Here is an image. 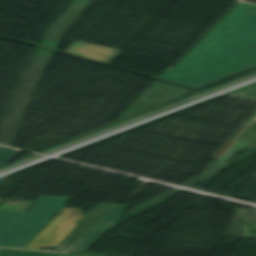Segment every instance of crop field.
I'll use <instances>...</instances> for the list:
<instances>
[{
    "label": "crop field",
    "mask_w": 256,
    "mask_h": 256,
    "mask_svg": "<svg viewBox=\"0 0 256 256\" xmlns=\"http://www.w3.org/2000/svg\"><path fill=\"white\" fill-rule=\"evenodd\" d=\"M255 10L254 14L247 12ZM256 66V6L240 2L160 78L197 87Z\"/></svg>",
    "instance_id": "1"
},
{
    "label": "crop field",
    "mask_w": 256,
    "mask_h": 256,
    "mask_svg": "<svg viewBox=\"0 0 256 256\" xmlns=\"http://www.w3.org/2000/svg\"><path fill=\"white\" fill-rule=\"evenodd\" d=\"M71 199L42 195L0 237V247L24 248Z\"/></svg>",
    "instance_id": "2"
},
{
    "label": "crop field",
    "mask_w": 256,
    "mask_h": 256,
    "mask_svg": "<svg viewBox=\"0 0 256 256\" xmlns=\"http://www.w3.org/2000/svg\"><path fill=\"white\" fill-rule=\"evenodd\" d=\"M129 206L97 204L96 207L61 242L57 251L86 253L95 241L126 211ZM98 211L97 213H92Z\"/></svg>",
    "instance_id": "3"
},
{
    "label": "crop field",
    "mask_w": 256,
    "mask_h": 256,
    "mask_svg": "<svg viewBox=\"0 0 256 256\" xmlns=\"http://www.w3.org/2000/svg\"><path fill=\"white\" fill-rule=\"evenodd\" d=\"M81 212L80 208L64 207L25 248L39 250L42 245L58 246L78 224L73 220L85 217Z\"/></svg>",
    "instance_id": "4"
},
{
    "label": "crop field",
    "mask_w": 256,
    "mask_h": 256,
    "mask_svg": "<svg viewBox=\"0 0 256 256\" xmlns=\"http://www.w3.org/2000/svg\"><path fill=\"white\" fill-rule=\"evenodd\" d=\"M256 148V113L234 136L226 147L209 163L200 174L204 176L221 175L226 164L232 159L231 155L244 150Z\"/></svg>",
    "instance_id": "5"
},
{
    "label": "crop field",
    "mask_w": 256,
    "mask_h": 256,
    "mask_svg": "<svg viewBox=\"0 0 256 256\" xmlns=\"http://www.w3.org/2000/svg\"><path fill=\"white\" fill-rule=\"evenodd\" d=\"M190 90L155 81L119 118V120L133 114L159 106L168 101L186 95Z\"/></svg>",
    "instance_id": "6"
},
{
    "label": "crop field",
    "mask_w": 256,
    "mask_h": 256,
    "mask_svg": "<svg viewBox=\"0 0 256 256\" xmlns=\"http://www.w3.org/2000/svg\"><path fill=\"white\" fill-rule=\"evenodd\" d=\"M65 52L85 56L111 65L121 50L75 41Z\"/></svg>",
    "instance_id": "7"
},
{
    "label": "crop field",
    "mask_w": 256,
    "mask_h": 256,
    "mask_svg": "<svg viewBox=\"0 0 256 256\" xmlns=\"http://www.w3.org/2000/svg\"><path fill=\"white\" fill-rule=\"evenodd\" d=\"M23 211L0 210V236L23 214Z\"/></svg>",
    "instance_id": "8"
},
{
    "label": "crop field",
    "mask_w": 256,
    "mask_h": 256,
    "mask_svg": "<svg viewBox=\"0 0 256 256\" xmlns=\"http://www.w3.org/2000/svg\"><path fill=\"white\" fill-rule=\"evenodd\" d=\"M35 201H29V200H15V199H7L5 200L2 205L0 206V209L4 210H27L31 204H33Z\"/></svg>",
    "instance_id": "9"
},
{
    "label": "crop field",
    "mask_w": 256,
    "mask_h": 256,
    "mask_svg": "<svg viewBox=\"0 0 256 256\" xmlns=\"http://www.w3.org/2000/svg\"><path fill=\"white\" fill-rule=\"evenodd\" d=\"M0 256H61V254L0 249Z\"/></svg>",
    "instance_id": "10"
},
{
    "label": "crop field",
    "mask_w": 256,
    "mask_h": 256,
    "mask_svg": "<svg viewBox=\"0 0 256 256\" xmlns=\"http://www.w3.org/2000/svg\"><path fill=\"white\" fill-rule=\"evenodd\" d=\"M20 151L0 147V167L10 162Z\"/></svg>",
    "instance_id": "11"
},
{
    "label": "crop field",
    "mask_w": 256,
    "mask_h": 256,
    "mask_svg": "<svg viewBox=\"0 0 256 256\" xmlns=\"http://www.w3.org/2000/svg\"><path fill=\"white\" fill-rule=\"evenodd\" d=\"M231 94L256 100V85L244 88Z\"/></svg>",
    "instance_id": "12"
},
{
    "label": "crop field",
    "mask_w": 256,
    "mask_h": 256,
    "mask_svg": "<svg viewBox=\"0 0 256 256\" xmlns=\"http://www.w3.org/2000/svg\"><path fill=\"white\" fill-rule=\"evenodd\" d=\"M63 256H79V255H69V254H63Z\"/></svg>",
    "instance_id": "13"
},
{
    "label": "crop field",
    "mask_w": 256,
    "mask_h": 256,
    "mask_svg": "<svg viewBox=\"0 0 256 256\" xmlns=\"http://www.w3.org/2000/svg\"><path fill=\"white\" fill-rule=\"evenodd\" d=\"M3 201H4L3 199H0V204H1Z\"/></svg>",
    "instance_id": "14"
}]
</instances>
